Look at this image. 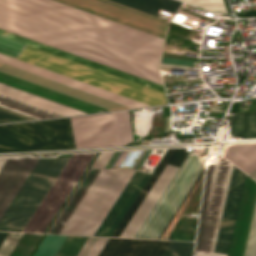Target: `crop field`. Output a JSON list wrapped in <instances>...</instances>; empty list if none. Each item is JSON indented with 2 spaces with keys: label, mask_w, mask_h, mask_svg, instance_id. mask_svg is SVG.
Returning <instances> with one entry per match:
<instances>
[{
  "label": "crop field",
  "mask_w": 256,
  "mask_h": 256,
  "mask_svg": "<svg viewBox=\"0 0 256 256\" xmlns=\"http://www.w3.org/2000/svg\"><path fill=\"white\" fill-rule=\"evenodd\" d=\"M119 145L133 141L129 111L114 113Z\"/></svg>",
  "instance_id": "27"
},
{
  "label": "crop field",
  "mask_w": 256,
  "mask_h": 256,
  "mask_svg": "<svg viewBox=\"0 0 256 256\" xmlns=\"http://www.w3.org/2000/svg\"><path fill=\"white\" fill-rule=\"evenodd\" d=\"M130 172L102 170L61 234L90 235Z\"/></svg>",
  "instance_id": "7"
},
{
  "label": "crop field",
  "mask_w": 256,
  "mask_h": 256,
  "mask_svg": "<svg viewBox=\"0 0 256 256\" xmlns=\"http://www.w3.org/2000/svg\"><path fill=\"white\" fill-rule=\"evenodd\" d=\"M192 247L193 243L171 242L163 256H191Z\"/></svg>",
  "instance_id": "33"
},
{
  "label": "crop field",
  "mask_w": 256,
  "mask_h": 256,
  "mask_svg": "<svg viewBox=\"0 0 256 256\" xmlns=\"http://www.w3.org/2000/svg\"><path fill=\"white\" fill-rule=\"evenodd\" d=\"M170 242L153 240L144 256H162Z\"/></svg>",
  "instance_id": "36"
},
{
  "label": "crop field",
  "mask_w": 256,
  "mask_h": 256,
  "mask_svg": "<svg viewBox=\"0 0 256 256\" xmlns=\"http://www.w3.org/2000/svg\"><path fill=\"white\" fill-rule=\"evenodd\" d=\"M164 63L180 64L191 66L192 61L162 58Z\"/></svg>",
  "instance_id": "39"
},
{
  "label": "crop field",
  "mask_w": 256,
  "mask_h": 256,
  "mask_svg": "<svg viewBox=\"0 0 256 256\" xmlns=\"http://www.w3.org/2000/svg\"><path fill=\"white\" fill-rule=\"evenodd\" d=\"M0 99H1V100H4V101H7V102H10V103H13V104H16V105H19V106H21V107H24V108L33 110V111H36V112H39V113H41V114H44V115H47V116H50V117L60 116V115H57V114H55V113H52V112H49V111H46V110L37 108V107H35V106H32V105H29V104L20 102V101H18V100H15V99H12V98L3 96V95H0Z\"/></svg>",
  "instance_id": "37"
},
{
  "label": "crop field",
  "mask_w": 256,
  "mask_h": 256,
  "mask_svg": "<svg viewBox=\"0 0 256 256\" xmlns=\"http://www.w3.org/2000/svg\"><path fill=\"white\" fill-rule=\"evenodd\" d=\"M38 161L31 156L0 158V219Z\"/></svg>",
  "instance_id": "12"
},
{
  "label": "crop field",
  "mask_w": 256,
  "mask_h": 256,
  "mask_svg": "<svg viewBox=\"0 0 256 256\" xmlns=\"http://www.w3.org/2000/svg\"><path fill=\"white\" fill-rule=\"evenodd\" d=\"M73 148L67 119L0 125V152Z\"/></svg>",
  "instance_id": "6"
},
{
  "label": "crop field",
  "mask_w": 256,
  "mask_h": 256,
  "mask_svg": "<svg viewBox=\"0 0 256 256\" xmlns=\"http://www.w3.org/2000/svg\"><path fill=\"white\" fill-rule=\"evenodd\" d=\"M256 199V182L246 177L229 256H242Z\"/></svg>",
  "instance_id": "16"
},
{
  "label": "crop field",
  "mask_w": 256,
  "mask_h": 256,
  "mask_svg": "<svg viewBox=\"0 0 256 256\" xmlns=\"http://www.w3.org/2000/svg\"><path fill=\"white\" fill-rule=\"evenodd\" d=\"M149 177L132 171L91 235L111 236Z\"/></svg>",
  "instance_id": "11"
},
{
  "label": "crop field",
  "mask_w": 256,
  "mask_h": 256,
  "mask_svg": "<svg viewBox=\"0 0 256 256\" xmlns=\"http://www.w3.org/2000/svg\"><path fill=\"white\" fill-rule=\"evenodd\" d=\"M108 238L89 237L78 256H97Z\"/></svg>",
  "instance_id": "29"
},
{
  "label": "crop field",
  "mask_w": 256,
  "mask_h": 256,
  "mask_svg": "<svg viewBox=\"0 0 256 256\" xmlns=\"http://www.w3.org/2000/svg\"><path fill=\"white\" fill-rule=\"evenodd\" d=\"M31 118L0 108V123L11 121H22Z\"/></svg>",
  "instance_id": "38"
},
{
  "label": "crop field",
  "mask_w": 256,
  "mask_h": 256,
  "mask_svg": "<svg viewBox=\"0 0 256 256\" xmlns=\"http://www.w3.org/2000/svg\"><path fill=\"white\" fill-rule=\"evenodd\" d=\"M188 149L187 148H177L171 159L169 160L168 163L174 164V165H179L180 162L182 161L183 157L187 153ZM167 164L150 191L148 192L147 196L129 221L128 225L120 235V237H132L152 205L154 204L155 200L177 169V166Z\"/></svg>",
  "instance_id": "15"
},
{
  "label": "crop field",
  "mask_w": 256,
  "mask_h": 256,
  "mask_svg": "<svg viewBox=\"0 0 256 256\" xmlns=\"http://www.w3.org/2000/svg\"><path fill=\"white\" fill-rule=\"evenodd\" d=\"M0 82L5 83L7 85L22 89L24 91L42 96L44 98L59 102L61 104L79 109L81 111L87 112V113H96V112H106L107 110H104L102 108L84 103L82 101L64 96L62 94L44 89L42 87L24 82L22 80L4 75L0 73Z\"/></svg>",
  "instance_id": "17"
},
{
  "label": "crop field",
  "mask_w": 256,
  "mask_h": 256,
  "mask_svg": "<svg viewBox=\"0 0 256 256\" xmlns=\"http://www.w3.org/2000/svg\"><path fill=\"white\" fill-rule=\"evenodd\" d=\"M148 150L143 151V153L141 154V156L139 157V159L137 160V162L135 163V165L133 166L132 169L137 170L138 166L140 165V163L142 162L143 158L145 157V155L147 154Z\"/></svg>",
  "instance_id": "43"
},
{
  "label": "crop field",
  "mask_w": 256,
  "mask_h": 256,
  "mask_svg": "<svg viewBox=\"0 0 256 256\" xmlns=\"http://www.w3.org/2000/svg\"><path fill=\"white\" fill-rule=\"evenodd\" d=\"M232 168L221 158L208 171L196 250H213Z\"/></svg>",
  "instance_id": "8"
},
{
  "label": "crop field",
  "mask_w": 256,
  "mask_h": 256,
  "mask_svg": "<svg viewBox=\"0 0 256 256\" xmlns=\"http://www.w3.org/2000/svg\"><path fill=\"white\" fill-rule=\"evenodd\" d=\"M214 13H226L222 0H180Z\"/></svg>",
  "instance_id": "30"
},
{
  "label": "crop field",
  "mask_w": 256,
  "mask_h": 256,
  "mask_svg": "<svg viewBox=\"0 0 256 256\" xmlns=\"http://www.w3.org/2000/svg\"><path fill=\"white\" fill-rule=\"evenodd\" d=\"M195 256H227V254L196 251Z\"/></svg>",
  "instance_id": "40"
},
{
  "label": "crop field",
  "mask_w": 256,
  "mask_h": 256,
  "mask_svg": "<svg viewBox=\"0 0 256 256\" xmlns=\"http://www.w3.org/2000/svg\"><path fill=\"white\" fill-rule=\"evenodd\" d=\"M243 256H256V204Z\"/></svg>",
  "instance_id": "31"
},
{
  "label": "crop field",
  "mask_w": 256,
  "mask_h": 256,
  "mask_svg": "<svg viewBox=\"0 0 256 256\" xmlns=\"http://www.w3.org/2000/svg\"><path fill=\"white\" fill-rule=\"evenodd\" d=\"M119 152L99 153L91 168H109Z\"/></svg>",
  "instance_id": "34"
},
{
  "label": "crop field",
  "mask_w": 256,
  "mask_h": 256,
  "mask_svg": "<svg viewBox=\"0 0 256 256\" xmlns=\"http://www.w3.org/2000/svg\"><path fill=\"white\" fill-rule=\"evenodd\" d=\"M88 237L68 236L56 256H77Z\"/></svg>",
  "instance_id": "28"
},
{
  "label": "crop field",
  "mask_w": 256,
  "mask_h": 256,
  "mask_svg": "<svg viewBox=\"0 0 256 256\" xmlns=\"http://www.w3.org/2000/svg\"><path fill=\"white\" fill-rule=\"evenodd\" d=\"M129 152V151H128ZM127 151L125 152H121V154L119 155V157L117 158V160L114 162V164L112 165L111 168H114V167H119L120 163L122 162L124 156L126 155Z\"/></svg>",
  "instance_id": "42"
},
{
  "label": "crop field",
  "mask_w": 256,
  "mask_h": 256,
  "mask_svg": "<svg viewBox=\"0 0 256 256\" xmlns=\"http://www.w3.org/2000/svg\"><path fill=\"white\" fill-rule=\"evenodd\" d=\"M229 125L231 132L228 137L230 138H256V113L235 114Z\"/></svg>",
  "instance_id": "25"
},
{
  "label": "crop field",
  "mask_w": 256,
  "mask_h": 256,
  "mask_svg": "<svg viewBox=\"0 0 256 256\" xmlns=\"http://www.w3.org/2000/svg\"><path fill=\"white\" fill-rule=\"evenodd\" d=\"M130 8L156 16L160 10L174 13L181 4L174 0H111Z\"/></svg>",
  "instance_id": "24"
},
{
  "label": "crop field",
  "mask_w": 256,
  "mask_h": 256,
  "mask_svg": "<svg viewBox=\"0 0 256 256\" xmlns=\"http://www.w3.org/2000/svg\"><path fill=\"white\" fill-rule=\"evenodd\" d=\"M74 148L118 146L113 114L69 118Z\"/></svg>",
  "instance_id": "10"
},
{
  "label": "crop field",
  "mask_w": 256,
  "mask_h": 256,
  "mask_svg": "<svg viewBox=\"0 0 256 256\" xmlns=\"http://www.w3.org/2000/svg\"><path fill=\"white\" fill-rule=\"evenodd\" d=\"M20 233H9L2 246L0 256H6ZM41 234L21 233L7 256H28Z\"/></svg>",
  "instance_id": "21"
},
{
  "label": "crop field",
  "mask_w": 256,
  "mask_h": 256,
  "mask_svg": "<svg viewBox=\"0 0 256 256\" xmlns=\"http://www.w3.org/2000/svg\"><path fill=\"white\" fill-rule=\"evenodd\" d=\"M69 158L40 159L0 221L1 231L21 232Z\"/></svg>",
  "instance_id": "5"
},
{
  "label": "crop field",
  "mask_w": 256,
  "mask_h": 256,
  "mask_svg": "<svg viewBox=\"0 0 256 256\" xmlns=\"http://www.w3.org/2000/svg\"><path fill=\"white\" fill-rule=\"evenodd\" d=\"M174 148H169L168 151L166 152V154L164 155V157L162 158V160L160 161V163L158 164V166L156 167L155 171L153 172V174L151 175V177L149 178V180L147 181V183L145 184V186L143 187V189L141 190V192L139 193V195L137 196V198L135 199V201L133 202V204L131 205L130 209L128 210V212L126 213V215L124 216V218L122 219V221L120 222V224L118 225V227L116 228V230L114 231V233L112 234V236L118 237V235L120 234V232L122 231V229L124 228L125 224L127 223V221L129 220V218L131 217V215L133 214V212L135 211V209L137 208V206L139 205V203L141 202L142 198L144 197V195L146 194V192L148 191V189L150 188V186L152 185V183L154 182V180L156 179V177L158 176L159 172L161 171V169L163 168V166L165 165V163L167 162L168 158L170 157L171 153L173 152ZM176 150V148H175ZM174 150V151H175ZM174 153V152H173ZM172 153V154H173ZM172 156V155H171ZM170 159V158H169ZM167 164V163H166ZM165 167V166H164ZM163 170V169H162ZM161 173V172H160ZM146 196V195H145ZM144 199V198H143ZM127 225V224H126Z\"/></svg>",
  "instance_id": "26"
},
{
  "label": "crop field",
  "mask_w": 256,
  "mask_h": 256,
  "mask_svg": "<svg viewBox=\"0 0 256 256\" xmlns=\"http://www.w3.org/2000/svg\"><path fill=\"white\" fill-rule=\"evenodd\" d=\"M0 62L8 64V65H11V66H14V67H17L19 69H22V70H25V71H28V72H31V73H34V74H37L39 76H42V77H45V78L57 81L59 83H62V84H65V85H68V86L80 89L82 91H85V92H88V93L100 96L102 98H105V99H108V100L120 103L122 105L131 107V108L148 107L147 105L141 104L139 102H136V101H133V100L121 97L119 95H116V94H113V93L101 90L99 88H96V87H93V86L81 83L79 81H76V80H73V79L61 76L59 74H56V73H53V72L41 69L39 67H36V66L30 65V64L18 61L16 59H13V58L1 55V54H0Z\"/></svg>",
  "instance_id": "14"
},
{
  "label": "crop field",
  "mask_w": 256,
  "mask_h": 256,
  "mask_svg": "<svg viewBox=\"0 0 256 256\" xmlns=\"http://www.w3.org/2000/svg\"><path fill=\"white\" fill-rule=\"evenodd\" d=\"M246 174L233 168L213 252L228 253Z\"/></svg>",
  "instance_id": "13"
},
{
  "label": "crop field",
  "mask_w": 256,
  "mask_h": 256,
  "mask_svg": "<svg viewBox=\"0 0 256 256\" xmlns=\"http://www.w3.org/2000/svg\"><path fill=\"white\" fill-rule=\"evenodd\" d=\"M0 14L158 69L163 38L54 0H0Z\"/></svg>",
  "instance_id": "1"
},
{
  "label": "crop field",
  "mask_w": 256,
  "mask_h": 256,
  "mask_svg": "<svg viewBox=\"0 0 256 256\" xmlns=\"http://www.w3.org/2000/svg\"><path fill=\"white\" fill-rule=\"evenodd\" d=\"M101 170H88L48 233L60 234Z\"/></svg>",
  "instance_id": "18"
},
{
  "label": "crop field",
  "mask_w": 256,
  "mask_h": 256,
  "mask_svg": "<svg viewBox=\"0 0 256 256\" xmlns=\"http://www.w3.org/2000/svg\"><path fill=\"white\" fill-rule=\"evenodd\" d=\"M205 160L206 158L199 157L195 151L191 150V152L189 153V155L179 168L178 172L176 173V175L174 176V178L172 179V181L170 182V184L168 185V187L166 188V190L164 191V193L162 194V196L160 197V199L150 212L149 216L147 217V219L145 220V222L135 235V238L158 239V237L164 230L165 226L167 225V223L169 222V220L179 207L180 203L182 202V200L184 199V197L186 196V194L196 181L201 171L203 170ZM202 173L200 174V176L202 175ZM200 176L198 177V179L200 178ZM191 190L189 191V193L191 192ZM189 193L187 194V196L189 195ZM187 196L185 197V199L187 198ZM185 199L183 200V202L185 201ZM170 222L168 223V225L170 224ZM168 225L166 226V228L168 227Z\"/></svg>",
  "instance_id": "4"
},
{
  "label": "crop field",
  "mask_w": 256,
  "mask_h": 256,
  "mask_svg": "<svg viewBox=\"0 0 256 256\" xmlns=\"http://www.w3.org/2000/svg\"><path fill=\"white\" fill-rule=\"evenodd\" d=\"M17 59L150 106L167 104L163 92L28 45Z\"/></svg>",
  "instance_id": "2"
},
{
  "label": "crop field",
  "mask_w": 256,
  "mask_h": 256,
  "mask_svg": "<svg viewBox=\"0 0 256 256\" xmlns=\"http://www.w3.org/2000/svg\"><path fill=\"white\" fill-rule=\"evenodd\" d=\"M0 34H1V35H4V36H7V37H9V38H12V39H15V40H18V41H21V42L30 44V45H32V46H35V47H38V48H41V49H44V50H47V51L56 53V54H58V55H61V56H64V57H67V58H70V59L79 61V62H81V63H84V64H87V65H90V66H93V67H96V68L105 70V71H107V72H110V73H113V74L122 76V77H124V78L133 80V81H135V82H138V83L147 85V86H149V87H152V88H155V89H158V90L164 92V89H163L162 86L153 84V83H151V82H148V81H145V80H142V79H139V78H136V77L127 75V74H125V73H122V72H119V71H116V70H113V69L104 67V66H102V65H99V64H96V63H93V62H90V61L81 59V58H79V57H76V56H73V55H70V54H67V53L58 51V50H55V49H53V48H50V47H47V46H44V45H41V44L32 42V41H30V40H27V39H24V38H21V37H18V36L9 34V33H7V32L1 31V30H0Z\"/></svg>",
  "instance_id": "23"
},
{
  "label": "crop field",
  "mask_w": 256,
  "mask_h": 256,
  "mask_svg": "<svg viewBox=\"0 0 256 256\" xmlns=\"http://www.w3.org/2000/svg\"><path fill=\"white\" fill-rule=\"evenodd\" d=\"M256 147V145H254ZM252 145L234 146L224 156L252 178H256V148ZM256 180V179H255Z\"/></svg>",
  "instance_id": "22"
},
{
  "label": "crop field",
  "mask_w": 256,
  "mask_h": 256,
  "mask_svg": "<svg viewBox=\"0 0 256 256\" xmlns=\"http://www.w3.org/2000/svg\"><path fill=\"white\" fill-rule=\"evenodd\" d=\"M94 154L73 153L23 232L44 233Z\"/></svg>",
  "instance_id": "9"
},
{
  "label": "crop field",
  "mask_w": 256,
  "mask_h": 256,
  "mask_svg": "<svg viewBox=\"0 0 256 256\" xmlns=\"http://www.w3.org/2000/svg\"><path fill=\"white\" fill-rule=\"evenodd\" d=\"M0 28L162 85L157 69L0 15Z\"/></svg>",
  "instance_id": "3"
},
{
  "label": "crop field",
  "mask_w": 256,
  "mask_h": 256,
  "mask_svg": "<svg viewBox=\"0 0 256 256\" xmlns=\"http://www.w3.org/2000/svg\"><path fill=\"white\" fill-rule=\"evenodd\" d=\"M160 68L190 69V67H187V66H179V65L164 64V63H161Z\"/></svg>",
  "instance_id": "41"
},
{
  "label": "crop field",
  "mask_w": 256,
  "mask_h": 256,
  "mask_svg": "<svg viewBox=\"0 0 256 256\" xmlns=\"http://www.w3.org/2000/svg\"><path fill=\"white\" fill-rule=\"evenodd\" d=\"M0 94L18 99L20 101L35 105L37 107H40L64 116L85 114L84 112H81L79 110L61 105L59 103L24 92L22 90L7 86L2 83H0Z\"/></svg>",
  "instance_id": "19"
},
{
  "label": "crop field",
  "mask_w": 256,
  "mask_h": 256,
  "mask_svg": "<svg viewBox=\"0 0 256 256\" xmlns=\"http://www.w3.org/2000/svg\"><path fill=\"white\" fill-rule=\"evenodd\" d=\"M7 235H8V233H1L0 232V246H1L2 242L4 241V239L6 238Z\"/></svg>",
  "instance_id": "44"
},
{
  "label": "crop field",
  "mask_w": 256,
  "mask_h": 256,
  "mask_svg": "<svg viewBox=\"0 0 256 256\" xmlns=\"http://www.w3.org/2000/svg\"><path fill=\"white\" fill-rule=\"evenodd\" d=\"M25 44L0 36V53L16 57Z\"/></svg>",
  "instance_id": "32"
},
{
  "label": "crop field",
  "mask_w": 256,
  "mask_h": 256,
  "mask_svg": "<svg viewBox=\"0 0 256 256\" xmlns=\"http://www.w3.org/2000/svg\"><path fill=\"white\" fill-rule=\"evenodd\" d=\"M152 240L109 238L98 256H143Z\"/></svg>",
  "instance_id": "20"
},
{
  "label": "crop field",
  "mask_w": 256,
  "mask_h": 256,
  "mask_svg": "<svg viewBox=\"0 0 256 256\" xmlns=\"http://www.w3.org/2000/svg\"><path fill=\"white\" fill-rule=\"evenodd\" d=\"M0 107L11 110V111H14V112H17V113H20V114H23L25 116H28V117H31V118H34V119L47 118V116L41 115L39 113L21 108L19 106H16V105H13V104L1 101V100H0Z\"/></svg>",
  "instance_id": "35"
}]
</instances>
